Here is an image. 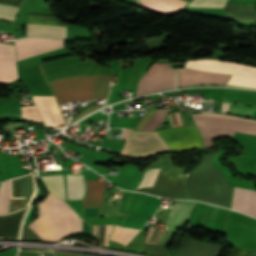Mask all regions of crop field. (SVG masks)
I'll use <instances>...</instances> for the list:
<instances>
[{
    "label": "crop field",
    "mask_w": 256,
    "mask_h": 256,
    "mask_svg": "<svg viewBox=\"0 0 256 256\" xmlns=\"http://www.w3.org/2000/svg\"><path fill=\"white\" fill-rule=\"evenodd\" d=\"M38 217L29 227L42 239L56 242L82 233L81 219L71 208L50 193L37 204Z\"/></svg>",
    "instance_id": "8a807250"
},
{
    "label": "crop field",
    "mask_w": 256,
    "mask_h": 256,
    "mask_svg": "<svg viewBox=\"0 0 256 256\" xmlns=\"http://www.w3.org/2000/svg\"><path fill=\"white\" fill-rule=\"evenodd\" d=\"M110 75L72 76L51 81L59 103L88 99H105Z\"/></svg>",
    "instance_id": "ac0d7876"
},
{
    "label": "crop field",
    "mask_w": 256,
    "mask_h": 256,
    "mask_svg": "<svg viewBox=\"0 0 256 256\" xmlns=\"http://www.w3.org/2000/svg\"><path fill=\"white\" fill-rule=\"evenodd\" d=\"M192 118L204 138L232 136L234 131L256 135V120L224 114H192ZM204 138L205 147L213 146L211 140Z\"/></svg>",
    "instance_id": "34b2d1b8"
},
{
    "label": "crop field",
    "mask_w": 256,
    "mask_h": 256,
    "mask_svg": "<svg viewBox=\"0 0 256 256\" xmlns=\"http://www.w3.org/2000/svg\"><path fill=\"white\" fill-rule=\"evenodd\" d=\"M122 139L126 142L120 154L128 157H149L169 150L155 132H131V129H124Z\"/></svg>",
    "instance_id": "412701ff"
},
{
    "label": "crop field",
    "mask_w": 256,
    "mask_h": 256,
    "mask_svg": "<svg viewBox=\"0 0 256 256\" xmlns=\"http://www.w3.org/2000/svg\"><path fill=\"white\" fill-rule=\"evenodd\" d=\"M160 64L150 67L148 72L142 76L139 82L136 95H143L155 92L157 88L158 74ZM176 87V72L167 64H161L157 91L163 89H172Z\"/></svg>",
    "instance_id": "f4fd0767"
},
{
    "label": "crop field",
    "mask_w": 256,
    "mask_h": 256,
    "mask_svg": "<svg viewBox=\"0 0 256 256\" xmlns=\"http://www.w3.org/2000/svg\"><path fill=\"white\" fill-rule=\"evenodd\" d=\"M156 133L171 151L203 147L201 136L194 124Z\"/></svg>",
    "instance_id": "dd49c442"
},
{
    "label": "crop field",
    "mask_w": 256,
    "mask_h": 256,
    "mask_svg": "<svg viewBox=\"0 0 256 256\" xmlns=\"http://www.w3.org/2000/svg\"><path fill=\"white\" fill-rule=\"evenodd\" d=\"M17 61L29 56L62 47V41L41 39H20L14 42Z\"/></svg>",
    "instance_id": "e52e79f7"
},
{
    "label": "crop field",
    "mask_w": 256,
    "mask_h": 256,
    "mask_svg": "<svg viewBox=\"0 0 256 256\" xmlns=\"http://www.w3.org/2000/svg\"><path fill=\"white\" fill-rule=\"evenodd\" d=\"M178 87L192 84H225L229 75L178 68Z\"/></svg>",
    "instance_id": "d8731c3e"
},
{
    "label": "crop field",
    "mask_w": 256,
    "mask_h": 256,
    "mask_svg": "<svg viewBox=\"0 0 256 256\" xmlns=\"http://www.w3.org/2000/svg\"><path fill=\"white\" fill-rule=\"evenodd\" d=\"M17 79L13 46L0 44V83Z\"/></svg>",
    "instance_id": "5a996713"
},
{
    "label": "crop field",
    "mask_w": 256,
    "mask_h": 256,
    "mask_svg": "<svg viewBox=\"0 0 256 256\" xmlns=\"http://www.w3.org/2000/svg\"><path fill=\"white\" fill-rule=\"evenodd\" d=\"M146 221L147 220H137L124 217L121 227L115 225L110 236V240H114L126 246Z\"/></svg>",
    "instance_id": "3316defc"
},
{
    "label": "crop field",
    "mask_w": 256,
    "mask_h": 256,
    "mask_svg": "<svg viewBox=\"0 0 256 256\" xmlns=\"http://www.w3.org/2000/svg\"><path fill=\"white\" fill-rule=\"evenodd\" d=\"M232 209L256 217V191L234 188Z\"/></svg>",
    "instance_id": "28ad6ade"
},
{
    "label": "crop field",
    "mask_w": 256,
    "mask_h": 256,
    "mask_svg": "<svg viewBox=\"0 0 256 256\" xmlns=\"http://www.w3.org/2000/svg\"><path fill=\"white\" fill-rule=\"evenodd\" d=\"M195 202L193 201H176L173 209L167 216L165 223L168 225L171 234L174 230L183 226L188 218V214Z\"/></svg>",
    "instance_id": "d1516ede"
},
{
    "label": "crop field",
    "mask_w": 256,
    "mask_h": 256,
    "mask_svg": "<svg viewBox=\"0 0 256 256\" xmlns=\"http://www.w3.org/2000/svg\"><path fill=\"white\" fill-rule=\"evenodd\" d=\"M67 26L27 24V36L66 38Z\"/></svg>",
    "instance_id": "22f410ed"
},
{
    "label": "crop field",
    "mask_w": 256,
    "mask_h": 256,
    "mask_svg": "<svg viewBox=\"0 0 256 256\" xmlns=\"http://www.w3.org/2000/svg\"><path fill=\"white\" fill-rule=\"evenodd\" d=\"M160 199L144 194L138 202L133 214L130 216L138 218H150L158 208Z\"/></svg>",
    "instance_id": "cbeb9de0"
},
{
    "label": "crop field",
    "mask_w": 256,
    "mask_h": 256,
    "mask_svg": "<svg viewBox=\"0 0 256 256\" xmlns=\"http://www.w3.org/2000/svg\"><path fill=\"white\" fill-rule=\"evenodd\" d=\"M86 181L87 194L83 201V206H100L105 183L92 180Z\"/></svg>",
    "instance_id": "5142ce71"
},
{
    "label": "crop field",
    "mask_w": 256,
    "mask_h": 256,
    "mask_svg": "<svg viewBox=\"0 0 256 256\" xmlns=\"http://www.w3.org/2000/svg\"><path fill=\"white\" fill-rule=\"evenodd\" d=\"M68 200L82 199L85 184L82 175H66Z\"/></svg>",
    "instance_id": "d9b57169"
},
{
    "label": "crop field",
    "mask_w": 256,
    "mask_h": 256,
    "mask_svg": "<svg viewBox=\"0 0 256 256\" xmlns=\"http://www.w3.org/2000/svg\"><path fill=\"white\" fill-rule=\"evenodd\" d=\"M48 185L51 192L58 196V198L64 199V179L62 175L44 176L41 177Z\"/></svg>",
    "instance_id": "733c2abd"
},
{
    "label": "crop field",
    "mask_w": 256,
    "mask_h": 256,
    "mask_svg": "<svg viewBox=\"0 0 256 256\" xmlns=\"http://www.w3.org/2000/svg\"><path fill=\"white\" fill-rule=\"evenodd\" d=\"M226 0H192L187 7L223 8Z\"/></svg>",
    "instance_id": "4a817a6b"
},
{
    "label": "crop field",
    "mask_w": 256,
    "mask_h": 256,
    "mask_svg": "<svg viewBox=\"0 0 256 256\" xmlns=\"http://www.w3.org/2000/svg\"><path fill=\"white\" fill-rule=\"evenodd\" d=\"M9 209L8 181L2 183L0 187V214L7 213Z\"/></svg>",
    "instance_id": "bc2a9ffb"
},
{
    "label": "crop field",
    "mask_w": 256,
    "mask_h": 256,
    "mask_svg": "<svg viewBox=\"0 0 256 256\" xmlns=\"http://www.w3.org/2000/svg\"><path fill=\"white\" fill-rule=\"evenodd\" d=\"M160 168H154L145 172L141 183L137 188L152 187ZM136 188V189H137Z\"/></svg>",
    "instance_id": "214f88e0"
},
{
    "label": "crop field",
    "mask_w": 256,
    "mask_h": 256,
    "mask_svg": "<svg viewBox=\"0 0 256 256\" xmlns=\"http://www.w3.org/2000/svg\"><path fill=\"white\" fill-rule=\"evenodd\" d=\"M19 8L0 5V19L13 21Z\"/></svg>",
    "instance_id": "92a150f3"
},
{
    "label": "crop field",
    "mask_w": 256,
    "mask_h": 256,
    "mask_svg": "<svg viewBox=\"0 0 256 256\" xmlns=\"http://www.w3.org/2000/svg\"><path fill=\"white\" fill-rule=\"evenodd\" d=\"M168 108L157 109L152 118L146 124V126L142 130H152L153 127L158 123V121L163 117V115L167 112Z\"/></svg>",
    "instance_id": "dafd665d"
},
{
    "label": "crop field",
    "mask_w": 256,
    "mask_h": 256,
    "mask_svg": "<svg viewBox=\"0 0 256 256\" xmlns=\"http://www.w3.org/2000/svg\"><path fill=\"white\" fill-rule=\"evenodd\" d=\"M39 65H40V64H39ZM40 69H41V73L43 74L44 72H43V70H42L41 65H40ZM42 76H43V79H44V81H45V84L48 85L49 83H48V81H47L45 75L43 74Z\"/></svg>",
    "instance_id": "00972430"
},
{
    "label": "crop field",
    "mask_w": 256,
    "mask_h": 256,
    "mask_svg": "<svg viewBox=\"0 0 256 256\" xmlns=\"http://www.w3.org/2000/svg\"><path fill=\"white\" fill-rule=\"evenodd\" d=\"M222 246H223V245H222ZM223 248H224V247H223ZM222 250H223V249H222ZM222 250H221V251H222ZM220 253H221V252H220ZM220 253H219V254H220ZM218 256H219V255H218Z\"/></svg>",
    "instance_id": "a9b5d70f"
},
{
    "label": "crop field",
    "mask_w": 256,
    "mask_h": 256,
    "mask_svg": "<svg viewBox=\"0 0 256 256\" xmlns=\"http://www.w3.org/2000/svg\"><path fill=\"white\" fill-rule=\"evenodd\" d=\"M185 1L189 2L190 0H185Z\"/></svg>",
    "instance_id": "4177f3b9"
}]
</instances>
